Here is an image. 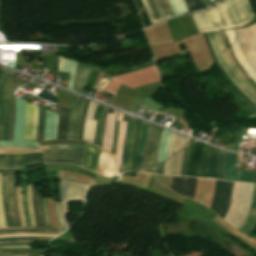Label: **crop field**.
Wrapping results in <instances>:
<instances>
[{"label":"crop field","mask_w":256,"mask_h":256,"mask_svg":"<svg viewBox=\"0 0 256 256\" xmlns=\"http://www.w3.org/2000/svg\"><path fill=\"white\" fill-rule=\"evenodd\" d=\"M93 104H94L93 102H90V106H89L88 113L85 120V129H84V135H83V140H88L91 143H93V140H94L96 121H88V118H89V114L91 112Z\"/></svg>","instance_id":"obj_23"},{"label":"crop field","mask_w":256,"mask_h":256,"mask_svg":"<svg viewBox=\"0 0 256 256\" xmlns=\"http://www.w3.org/2000/svg\"><path fill=\"white\" fill-rule=\"evenodd\" d=\"M84 150H49L43 151V154H83Z\"/></svg>","instance_id":"obj_32"},{"label":"crop field","mask_w":256,"mask_h":256,"mask_svg":"<svg viewBox=\"0 0 256 256\" xmlns=\"http://www.w3.org/2000/svg\"><path fill=\"white\" fill-rule=\"evenodd\" d=\"M96 106H97V104L95 103L94 106H93L92 112H91V114H90L89 120H92L93 113H94V111H95Z\"/></svg>","instance_id":"obj_49"},{"label":"crop field","mask_w":256,"mask_h":256,"mask_svg":"<svg viewBox=\"0 0 256 256\" xmlns=\"http://www.w3.org/2000/svg\"><path fill=\"white\" fill-rule=\"evenodd\" d=\"M0 248H30V247H0Z\"/></svg>","instance_id":"obj_55"},{"label":"crop field","mask_w":256,"mask_h":256,"mask_svg":"<svg viewBox=\"0 0 256 256\" xmlns=\"http://www.w3.org/2000/svg\"><path fill=\"white\" fill-rule=\"evenodd\" d=\"M256 171H253L252 183H255Z\"/></svg>","instance_id":"obj_54"},{"label":"crop field","mask_w":256,"mask_h":256,"mask_svg":"<svg viewBox=\"0 0 256 256\" xmlns=\"http://www.w3.org/2000/svg\"><path fill=\"white\" fill-rule=\"evenodd\" d=\"M246 29H247V31H248V34H249V36H250V39H251L252 44H253V46H254V49H255V51H256V40H255V37H254V35H253L252 29H251L250 26L247 27Z\"/></svg>","instance_id":"obj_39"},{"label":"crop field","mask_w":256,"mask_h":256,"mask_svg":"<svg viewBox=\"0 0 256 256\" xmlns=\"http://www.w3.org/2000/svg\"><path fill=\"white\" fill-rule=\"evenodd\" d=\"M224 180V152L220 151V158H219V178Z\"/></svg>","instance_id":"obj_36"},{"label":"crop field","mask_w":256,"mask_h":256,"mask_svg":"<svg viewBox=\"0 0 256 256\" xmlns=\"http://www.w3.org/2000/svg\"><path fill=\"white\" fill-rule=\"evenodd\" d=\"M197 178L173 177L171 189L189 199L194 198Z\"/></svg>","instance_id":"obj_12"},{"label":"crop field","mask_w":256,"mask_h":256,"mask_svg":"<svg viewBox=\"0 0 256 256\" xmlns=\"http://www.w3.org/2000/svg\"><path fill=\"white\" fill-rule=\"evenodd\" d=\"M256 229V223L254 224V226L252 227V229L250 230V232L248 233L247 236L250 237V235L253 233V231Z\"/></svg>","instance_id":"obj_51"},{"label":"crop field","mask_w":256,"mask_h":256,"mask_svg":"<svg viewBox=\"0 0 256 256\" xmlns=\"http://www.w3.org/2000/svg\"><path fill=\"white\" fill-rule=\"evenodd\" d=\"M10 233H57L59 232H9V233H0V234H10Z\"/></svg>","instance_id":"obj_44"},{"label":"crop field","mask_w":256,"mask_h":256,"mask_svg":"<svg viewBox=\"0 0 256 256\" xmlns=\"http://www.w3.org/2000/svg\"><path fill=\"white\" fill-rule=\"evenodd\" d=\"M79 99H80L79 96L73 95L71 114H70V120L68 125V134H67V139H70V140H78L80 121H81V116H82V112L85 104V103L79 102Z\"/></svg>","instance_id":"obj_11"},{"label":"crop field","mask_w":256,"mask_h":256,"mask_svg":"<svg viewBox=\"0 0 256 256\" xmlns=\"http://www.w3.org/2000/svg\"><path fill=\"white\" fill-rule=\"evenodd\" d=\"M9 95L6 73H0V141H7Z\"/></svg>","instance_id":"obj_8"},{"label":"crop field","mask_w":256,"mask_h":256,"mask_svg":"<svg viewBox=\"0 0 256 256\" xmlns=\"http://www.w3.org/2000/svg\"><path fill=\"white\" fill-rule=\"evenodd\" d=\"M218 63L234 84L256 104V83L235 58L224 31L207 33Z\"/></svg>","instance_id":"obj_2"},{"label":"crop field","mask_w":256,"mask_h":256,"mask_svg":"<svg viewBox=\"0 0 256 256\" xmlns=\"http://www.w3.org/2000/svg\"><path fill=\"white\" fill-rule=\"evenodd\" d=\"M8 231H56V230H8ZM5 232V231H0Z\"/></svg>","instance_id":"obj_47"},{"label":"crop field","mask_w":256,"mask_h":256,"mask_svg":"<svg viewBox=\"0 0 256 256\" xmlns=\"http://www.w3.org/2000/svg\"><path fill=\"white\" fill-rule=\"evenodd\" d=\"M188 11H194L206 7L204 0H184Z\"/></svg>","instance_id":"obj_27"},{"label":"crop field","mask_w":256,"mask_h":256,"mask_svg":"<svg viewBox=\"0 0 256 256\" xmlns=\"http://www.w3.org/2000/svg\"><path fill=\"white\" fill-rule=\"evenodd\" d=\"M31 155H42V153H39V154H27V155H0V157H8V156H31Z\"/></svg>","instance_id":"obj_46"},{"label":"crop field","mask_w":256,"mask_h":256,"mask_svg":"<svg viewBox=\"0 0 256 256\" xmlns=\"http://www.w3.org/2000/svg\"><path fill=\"white\" fill-rule=\"evenodd\" d=\"M101 149L90 145L86 142V148L83 156L76 155H43V156H32V157H15V158H0V162H11V161H22V160H33V159H44V163H72L81 167L82 158L83 164L82 167L95 171L97 168V161L100 156Z\"/></svg>","instance_id":"obj_3"},{"label":"crop field","mask_w":256,"mask_h":256,"mask_svg":"<svg viewBox=\"0 0 256 256\" xmlns=\"http://www.w3.org/2000/svg\"><path fill=\"white\" fill-rule=\"evenodd\" d=\"M233 183L217 180L211 210L224 218L230 204Z\"/></svg>","instance_id":"obj_6"},{"label":"crop field","mask_w":256,"mask_h":256,"mask_svg":"<svg viewBox=\"0 0 256 256\" xmlns=\"http://www.w3.org/2000/svg\"><path fill=\"white\" fill-rule=\"evenodd\" d=\"M103 109H104V106L98 104L96 111L94 113L93 120H97L95 142H94L95 145H97V142H98V135H99V129H100V123H101V118H102V114H103Z\"/></svg>","instance_id":"obj_25"},{"label":"crop field","mask_w":256,"mask_h":256,"mask_svg":"<svg viewBox=\"0 0 256 256\" xmlns=\"http://www.w3.org/2000/svg\"><path fill=\"white\" fill-rule=\"evenodd\" d=\"M10 246H29V245H10Z\"/></svg>","instance_id":"obj_58"},{"label":"crop field","mask_w":256,"mask_h":256,"mask_svg":"<svg viewBox=\"0 0 256 256\" xmlns=\"http://www.w3.org/2000/svg\"><path fill=\"white\" fill-rule=\"evenodd\" d=\"M0 254H42V253H0Z\"/></svg>","instance_id":"obj_50"},{"label":"crop field","mask_w":256,"mask_h":256,"mask_svg":"<svg viewBox=\"0 0 256 256\" xmlns=\"http://www.w3.org/2000/svg\"><path fill=\"white\" fill-rule=\"evenodd\" d=\"M236 158L237 155L225 152V180L237 181L238 171L234 170Z\"/></svg>","instance_id":"obj_20"},{"label":"crop field","mask_w":256,"mask_h":256,"mask_svg":"<svg viewBox=\"0 0 256 256\" xmlns=\"http://www.w3.org/2000/svg\"><path fill=\"white\" fill-rule=\"evenodd\" d=\"M35 163H43L41 162H35ZM35 163H31V164H35ZM26 165H30V164H21V165H14V166H0V168H15V167H21V166H26Z\"/></svg>","instance_id":"obj_40"},{"label":"crop field","mask_w":256,"mask_h":256,"mask_svg":"<svg viewBox=\"0 0 256 256\" xmlns=\"http://www.w3.org/2000/svg\"><path fill=\"white\" fill-rule=\"evenodd\" d=\"M42 152L39 147H0V154H27Z\"/></svg>","instance_id":"obj_24"},{"label":"crop field","mask_w":256,"mask_h":256,"mask_svg":"<svg viewBox=\"0 0 256 256\" xmlns=\"http://www.w3.org/2000/svg\"><path fill=\"white\" fill-rule=\"evenodd\" d=\"M107 109L108 108L106 107L105 112L103 114L102 123H101V129H100V135H99V143H98V146H100V147L102 145V139H103V133H104V123H105Z\"/></svg>","instance_id":"obj_37"},{"label":"crop field","mask_w":256,"mask_h":256,"mask_svg":"<svg viewBox=\"0 0 256 256\" xmlns=\"http://www.w3.org/2000/svg\"><path fill=\"white\" fill-rule=\"evenodd\" d=\"M208 151L209 146L198 142L189 146L185 176L206 178Z\"/></svg>","instance_id":"obj_4"},{"label":"crop field","mask_w":256,"mask_h":256,"mask_svg":"<svg viewBox=\"0 0 256 256\" xmlns=\"http://www.w3.org/2000/svg\"><path fill=\"white\" fill-rule=\"evenodd\" d=\"M17 200H18V207H19L21 225H22V227H24L25 222H24V210H23L22 196H21V187L17 188Z\"/></svg>","instance_id":"obj_31"},{"label":"crop field","mask_w":256,"mask_h":256,"mask_svg":"<svg viewBox=\"0 0 256 256\" xmlns=\"http://www.w3.org/2000/svg\"><path fill=\"white\" fill-rule=\"evenodd\" d=\"M22 196H23V203H24V209H25L26 225L30 226V219L28 216V207H27V200H26V186L22 187Z\"/></svg>","instance_id":"obj_33"},{"label":"crop field","mask_w":256,"mask_h":256,"mask_svg":"<svg viewBox=\"0 0 256 256\" xmlns=\"http://www.w3.org/2000/svg\"><path fill=\"white\" fill-rule=\"evenodd\" d=\"M8 79V88L10 95V120H9V129H8V141H12L13 138V127H14V91H13V71L10 70V75H7Z\"/></svg>","instance_id":"obj_16"},{"label":"crop field","mask_w":256,"mask_h":256,"mask_svg":"<svg viewBox=\"0 0 256 256\" xmlns=\"http://www.w3.org/2000/svg\"><path fill=\"white\" fill-rule=\"evenodd\" d=\"M155 1L157 3L163 20L174 15L168 0ZM142 3L152 24L162 20L154 0H142Z\"/></svg>","instance_id":"obj_10"},{"label":"crop field","mask_w":256,"mask_h":256,"mask_svg":"<svg viewBox=\"0 0 256 256\" xmlns=\"http://www.w3.org/2000/svg\"><path fill=\"white\" fill-rule=\"evenodd\" d=\"M136 122H137V120L133 118V120H132V132H131L130 145H129V153H128V158H127L126 172L130 170V166H131L132 148H133V142H134Z\"/></svg>","instance_id":"obj_26"},{"label":"crop field","mask_w":256,"mask_h":256,"mask_svg":"<svg viewBox=\"0 0 256 256\" xmlns=\"http://www.w3.org/2000/svg\"><path fill=\"white\" fill-rule=\"evenodd\" d=\"M2 200L8 227H17L11 197V172L2 173Z\"/></svg>","instance_id":"obj_9"},{"label":"crop field","mask_w":256,"mask_h":256,"mask_svg":"<svg viewBox=\"0 0 256 256\" xmlns=\"http://www.w3.org/2000/svg\"><path fill=\"white\" fill-rule=\"evenodd\" d=\"M191 15L199 33L239 27L250 22L254 16L248 0H223Z\"/></svg>","instance_id":"obj_1"},{"label":"crop field","mask_w":256,"mask_h":256,"mask_svg":"<svg viewBox=\"0 0 256 256\" xmlns=\"http://www.w3.org/2000/svg\"><path fill=\"white\" fill-rule=\"evenodd\" d=\"M116 118H117V116H116ZM118 125H119V122H116V120H115L114 141H113V147H112V153H113V155H114V153H115L116 140H117V133H118Z\"/></svg>","instance_id":"obj_38"},{"label":"crop field","mask_w":256,"mask_h":256,"mask_svg":"<svg viewBox=\"0 0 256 256\" xmlns=\"http://www.w3.org/2000/svg\"><path fill=\"white\" fill-rule=\"evenodd\" d=\"M84 145H50L41 147L42 150L49 149H83Z\"/></svg>","instance_id":"obj_30"},{"label":"crop field","mask_w":256,"mask_h":256,"mask_svg":"<svg viewBox=\"0 0 256 256\" xmlns=\"http://www.w3.org/2000/svg\"><path fill=\"white\" fill-rule=\"evenodd\" d=\"M252 171H239V181L251 183Z\"/></svg>","instance_id":"obj_34"},{"label":"crop field","mask_w":256,"mask_h":256,"mask_svg":"<svg viewBox=\"0 0 256 256\" xmlns=\"http://www.w3.org/2000/svg\"><path fill=\"white\" fill-rule=\"evenodd\" d=\"M90 67L83 65V64H77L76 73H75V79H74V86L73 90L77 92H83L87 78L90 72Z\"/></svg>","instance_id":"obj_15"},{"label":"crop field","mask_w":256,"mask_h":256,"mask_svg":"<svg viewBox=\"0 0 256 256\" xmlns=\"http://www.w3.org/2000/svg\"><path fill=\"white\" fill-rule=\"evenodd\" d=\"M15 174H16V172L13 173V179H12L13 206H14L15 216H16V220H17V225H18V227H21L20 220H19V214H18V208H17V201H16Z\"/></svg>","instance_id":"obj_28"},{"label":"crop field","mask_w":256,"mask_h":256,"mask_svg":"<svg viewBox=\"0 0 256 256\" xmlns=\"http://www.w3.org/2000/svg\"><path fill=\"white\" fill-rule=\"evenodd\" d=\"M69 110L62 109L58 107V124L56 139L63 140L66 139V128L69 119Z\"/></svg>","instance_id":"obj_18"},{"label":"crop field","mask_w":256,"mask_h":256,"mask_svg":"<svg viewBox=\"0 0 256 256\" xmlns=\"http://www.w3.org/2000/svg\"><path fill=\"white\" fill-rule=\"evenodd\" d=\"M56 205H57V211H58V215H59V218H60V221H61V225L65 231V227H64V224H63V221H62V217H61V213H60V209H59V202H56Z\"/></svg>","instance_id":"obj_41"},{"label":"crop field","mask_w":256,"mask_h":256,"mask_svg":"<svg viewBox=\"0 0 256 256\" xmlns=\"http://www.w3.org/2000/svg\"><path fill=\"white\" fill-rule=\"evenodd\" d=\"M50 144H84V143H71V142H62V143H43V144H39V146H43V145H50Z\"/></svg>","instance_id":"obj_42"},{"label":"crop field","mask_w":256,"mask_h":256,"mask_svg":"<svg viewBox=\"0 0 256 256\" xmlns=\"http://www.w3.org/2000/svg\"><path fill=\"white\" fill-rule=\"evenodd\" d=\"M131 120H132V118L130 117L129 125H128V137H127L126 149H125V152H123L122 163H121V168L119 170V173H124L125 172L126 158H127L128 144H129V137H130V132H131Z\"/></svg>","instance_id":"obj_29"},{"label":"crop field","mask_w":256,"mask_h":256,"mask_svg":"<svg viewBox=\"0 0 256 256\" xmlns=\"http://www.w3.org/2000/svg\"><path fill=\"white\" fill-rule=\"evenodd\" d=\"M215 1H217V0H206V3L209 6L210 4L214 3Z\"/></svg>","instance_id":"obj_52"},{"label":"crop field","mask_w":256,"mask_h":256,"mask_svg":"<svg viewBox=\"0 0 256 256\" xmlns=\"http://www.w3.org/2000/svg\"><path fill=\"white\" fill-rule=\"evenodd\" d=\"M183 151L165 161L164 174L180 176Z\"/></svg>","instance_id":"obj_17"},{"label":"crop field","mask_w":256,"mask_h":256,"mask_svg":"<svg viewBox=\"0 0 256 256\" xmlns=\"http://www.w3.org/2000/svg\"><path fill=\"white\" fill-rule=\"evenodd\" d=\"M23 238H45V239H52V238H46V237H23ZM4 239H16V238H1L0 240Z\"/></svg>","instance_id":"obj_48"},{"label":"crop field","mask_w":256,"mask_h":256,"mask_svg":"<svg viewBox=\"0 0 256 256\" xmlns=\"http://www.w3.org/2000/svg\"><path fill=\"white\" fill-rule=\"evenodd\" d=\"M87 185H82L78 183L68 182L60 179L59 185V197H60V206H61V213L63 217V221L65 227L67 229L68 225L64 218L63 210L67 207V202L84 199V194L88 190Z\"/></svg>","instance_id":"obj_5"},{"label":"crop field","mask_w":256,"mask_h":256,"mask_svg":"<svg viewBox=\"0 0 256 256\" xmlns=\"http://www.w3.org/2000/svg\"><path fill=\"white\" fill-rule=\"evenodd\" d=\"M187 149H185V152H184V158H183V166H182V174L181 176H184V166H185V159H186V154H187Z\"/></svg>","instance_id":"obj_45"},{"label":"crop field","mask_w":256,"mask_h":256,"mask_svg":"<svg viewBox=\"0 0 256 256\" xmlns=\"http://www.w3.org/2000/svg\"><path fill=\"white\" fill-rule=\"evenodd\" d=\"M189 139L183 136H180L176 133L172 134L171 142H170V150H169V157L175 154L177 151L183 149L184 147L188 146Z\"/></svg>","instance_id":"obj_22"},{"label":"crop field","mask_w":256,"mask_h":256,"mask_svg":"<svg viewBox=\"0 0 256 256\" xmlns=\"http://www.w3.org/2000/svg\"><path fill=\"white\" fill-rule=\"evenodd\" d=\"M149 125H150L149 123H146L143 121L141 123L138 145H137V153L134 159V170L139 169L141 166V160H142V155H143V150H144V146L147 138Z\"/></svg>","instance_id":"obj_14"},{"label":"crop field","mask_w":256,"mask_h":256,"mask_svg":"<svg viewBox=\"0 0 256 256\" xmlns=\"http://www.w3.org/2000/svg\"><path fill=\"white\" fill-rule=\"evenodd\" d=\"M163 168H164V162L159 164V165L144 168V169L139 170V171H148V172L163 174Z\"/></svg>","instance_id":"obj_35"},{"label":"crop field","mask_w":256,"mask_h":256,"mask_svg":"<svg viewBox=\"0 0 256 256\" xmlns=\"http://www.w3.org/2000/svg\"><path fill=\"white\" fill-rule=\"evenodd\" d=\"M40 160H42V159H40ZM40 160H34V161H40ZM34 161L14 162V163H0V165H14V164H20V163L34 162Z\"/></svg>","instance_id":"obj_43"},{"label":"crop field","mask_w":256,"mask_h":256,"mask_svg":"<svg viewBox=\"0 0 256 256\" xmlns=\"http://www.w3.org/2000/svg\"><path fill=\"white\" fill-rule=\"evenodd\" d=\"M32 204L36 227H46L41 196L35 192L34 185H32Z\"/></svg>","instance_id":"obj_13"},{"label":"crop field","mask_w":256,"mask_h":256,"mask_svg":"<svg viewBox=\"0 0 256 256\" xmlns=\"http://www.w3.org/2000/svg\"><path fill=\"white\" fill-rule=\"evenodd\" d=\"M18 242H34V241H18ZM3 243H15V242H3Z\"/></svg>","instance_id":"obj_56"},{"label":"crop field","mask_w":256,"mask_h":256,"mask_svg":"<svg viewBox=\"0 0 256 256\" xmlns=\"http://www.w3.org/2000/svg\"><path fill=\"white\" fill-rule=\"evenodd\" d=\"M16 240H38V239H16ZM16 240H4V241H16ZM3 242V241H0Z\"/></svg>","instance_id":"obj_53"},{"label":"crop field","mask_w":256,"mask_h":256,"mask_svg":"<svg viewBox=\"0 0 256 256\" xmlns=\"http://www.w3.org/2000/svg\"><path fill=\"white\" fill-rule=\"evenodd\" d=\"M255 219H256V185H254L253 199H252L249 213L245 221L243 222V224L240 226L238 230L247 235Z\"/></svg>","instance_id":"obj_19"},{"label":"crop field","mask_w":256,"mask_h":256,"mask_svg":"<svg viewBox=\"0 0 256 256\" xmlns=\"http://www.w3.org/2000/svg\"><path fill=\"white\" fill-rule=\"evenodd\" d=\"M218 154H219L218 150L212 147L210 148L209 157H208L207 178L217 179L218 177Z\"/></svg>","instance_id":"obj_21"},{"label":"crop field","mask_w":256,"mask_h":256,"mask_svg":"<svg viewBox=\"0 0 256 256\" xmlns=\"http://www.w3.org/2000/svg\"><path fill=\"white\" fill-rule=\"evenodd\" d=\"M162 130L163 129L160 127L152 124L150 125L142 168L157 164L159 142Z\"/></svg>","instance_id":"obj_7"},{"label":"crop field","mask_w":256,"mask_h":256,"mask_svg":"<svg viewBox=\"0 0 256 256\" xmlns=\"http://www.w3.org/2000/svg\"><path fill=\"white\" fill-rule=\"evenodd\" d=\"M16 244H29V243H16ZM0 245H7V244H0Z\"/></svg>","instance_id":"obj_57"}]
</instances>
